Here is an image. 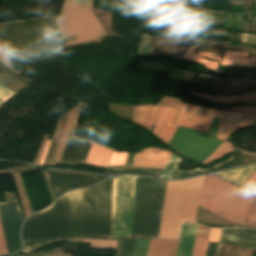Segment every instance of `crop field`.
I'll use <instances>...</instances> for the list:
<instances>
[{"label":"crop field","instance_id":"obj_35","mask_svg":"<svg viewBox=\"0 0 256 256\" xmlns=\"http://www.w3.org/2000/svg\"><path fill=\"white\" fill-rule=\"evenodd\" d=\"M140 183H141V177H138L132 237H136V231H137Z\"/></svg>","mask_w":256,"mask_h":256},{"label":"crop field","instance_id":"obj_39","mask_svg":"<svg viewBox=\"0 0 256 256\" xmlns=\"http://www.w3.org/2000/svg\"><path fill=\"white\" fill-rule=\"evenodd\" d=\"M15 93L10 91L8 88L0 84V105H2L5 101H7L11 96Z\"/></svg>","mask_w":256,"mask_h":256},{"label":"crop field","instance_id":"obj_50","mask_svg":"<svg viewBox=\"0 0 256 256\" xmlns=\"http://www.w3.org/2000/svg\"><path fill=\"white\" fill-rule=\"evenodd\" d=\"M0 60L2 62H4L6 65H8L9 67H11L10 64H9V61H8L6 55H5V52H4L3 48H2L1 43H0Z\"/></svg>","mask_w":256,"mask_h":256},{"label":"crop field","instance_id":"obj_58","mask_svg":"<svg viewBox=\"0 0 256 256\" xmlns=\"http://www.w3.org/2000/svg\"><path fill=\"white\" fill-rule=\"evenodd\" d=\"M255 24H256V18H255Z\"/></svg>","mask_w":256,"mask_h":256},{"label":"crop field","instance_id":"obj_14","mask_svg":"<svg viewBox=\"0 0 256 256\" xmlns=\"http://www.w3.org/2000/svg\"><path fill=\"white\" fill-rule=\"evenodd\" d=\"M83 105L80 104L76 119L70 133L66 148L64 150L60 164L79 165L84 164L91 148L92 142L77 137H73Z\"/></svg>","mask_w":256,"mask_h":256},{"label":"crop field","instance_id":"obj_46","mask_svg":"<svg viewBox=\"0 0 256 256\" xmlns=\"http://www.w3.org/2000/svg\"><path fill=\"white\" fill-rule=\"evenodd\" d=\"M220 231L221 229H211L209 241L218 242Z\"/></svg>","mask_w":256,"mask_h":256},{"label":"crop field","instance_id":"obj_24","mask_svg":"<svg viewBox=\"0 0 256 256\" xmlns=\"http://www.w3.org/2000/svg\"><path fill=\"white\" fill-rule=\"evenodd\" d=\"M247 56L248 54L245 53H238L226 50L223 57L222 65L256 68V60L242 59L247 58Z\"/></svg>","mask_w":256,"mask_h":256},{"label":"crop field","instance_id":"obj_3","mask_svg":"<svg viewBox=\"0 0 256 256\" xmlns=\"http://www.w3.org/2000/svg\"><path fill=\"white\" fill-rule=\"evenodd\" d=\"M204 177L167 181L159 237L178 238L181 221H193Z\"/></svg>","mask_w":256,"mask_h":256},{"label":"crop field","instance_id":"obj_42","mask_svg":"<svg viewBox=\"0 0 256 256\" xmlns=\"http://www.w3.org/2000/svg\"><path fill=\"white\" fill-rule=\"evenodd\" d=\"M8 253L0 222V255Z\"/></svg>","mask_w":256,"mask_h":256},{"label":"crop field","instance_id":"obj_11","mask_svg":"<svg viewBox=\"0 0 256 256\" xmlns=\"http://www.w3.org/2000/svg\"><path fill=\"white\" fill-rule=\"evenodd\" d=\"M231 112L222 110L217 138L225 140L237 129L251 123L256 118V107H235Z\"/></svg>","mask_w":256,"mask_h":256},{"label":"crop field","instance_id":"obj_17","mask_svg":"<svg viewBox=\"0 0 256 256\" xmlns=\"http://www.w3.org/2000/svg\"><path fill=\"white\" fill-rule=\"evenodd\" d=\"M160 106H137L134 107L132 121L151 131L153 128Z\"/></svg>","mask_w":256,"mask_h":256},{"label":"crop field","instance_id":"obj_1","mask_svg":"<svg viewBox=\"0 0 256 256\" xmlns=\"http://www.w3.org/2000/svg\"><path fill=\"white\" fill-rule=\"evenodd\" d=\"M57 17L28 19L0 25V41L10 64L20 73L39 60L65 53Z\"/></svg>","mask_w":256,"mask_h":256},{"label":"crop field","instance_id":"obj_56","mask_svg":"<svg viewBox=\"0 0 256 256\" xmlns=\"http://www.w3.org/2000/svg\"><path fill=\"white\" fill-rule=\"evenodd\" d=\"M2 72H4V71H2V70L0 69V73H2Z\"/></svg>","mask_w":256,"mask_h":256},{"label":"crop field","instance_id":"obj_16","mask_svg":"<svg viewBox=\"0 0 256 256\" xmlns=\"http://www.w3.org/2000/svg\"><path fill=\"white\" fill-rule=\"evenodd\" d=\"M171 153L158 148H146L136 154L133 166L164 168Z\"/></svg>","mask_w":256,"mask_h":256},{"label":"crop field","instance_id":"obj_9","mask_svg":"<svg viewBox=\"0 0 256 256\" xmlns=\"http://www.w3.org/2000/svg\"><path fill=\"white\" fill-rule=\"evenodd\" d=\"M216 136L178 127L169 141L180 154L202 163L214 152L223 141L215 139Z\"/></svg>","mask_w":256,"mask_h":256},{"label":"crop field","instance_id":"obj_40","mask_svg":"<svg viewBox=\"0 0 256 256\" xmlns=\"http://www.w3.org/2000/svg\"><path fill=\"white\" fill-rule=\"evenodd\" d=\"M167 108L168 107L161 106V110H160V113H159L158 121H157V123L155 125V129L152 131V133L155 134V135H157V133H158V131H159L163 121H164Z\"/></svg>","mask_w":256,"mask_h":256},{"label":"crop field","instance_id":"obj_2","mask_svg":"<svg viewBox=\"0 0 256 256\" xmlns=\"http://www.w3.org/2000/svg\"><path fill=\"white\" fill-rule=\"evenodd\" d=\"M78 236H85L83 189L67 192L47 209L29 217L22 230L25 252Z\"/></svg>","mask_w":256,"mask_h":256},{"label":"crop field","instance_id":"obj_47","mask_svg":"<svg viewBox=\"0 0 256 256\" xmlns=\"http://www.w3.org/2000/svg\"><path fill=\"white\" fill-rule=\"evenodd\" d=\"M241 40H246V41H256V35H251V34H245L242 33V37ZM244 43H251V44H256L255 42H245V41H241Z\"/></svg>","mask_w":256,"mask_h":256},{"label":"crop field","instance_id":"obj_52","mask_svg":"<svg viewBox=\"0 0 256 256\" xmlns=\"http://www.w3.org/2000/svg\"><path fill=\"white\" fill-rule=\"evenodd\" d=\"M49 142H50V141H48L47 146H46V149H45L44 154H43V156H42L41 162H40V164H39L40 166L42 165V162H43V159H44L45 153H46L47 148H48V145H49Z\"/></svg>","mask_w":256,"mask_h":256},{"label":"crop field","instance_id":"obj_13","mask_svg":"<svg viewBox=\"0 0 256 256\" xmlns=\"http://www.w3.org/2000/svg\"><path fill=\"white\" fill-rule=\"evenodd\" d=\"M55 198L60 196L64 191L72 188L84 187L103 180V177L45 172Z\"/></svg>","mask_w":256,"mask_h":256},{"label":"crop field","instance_id":"obj_5","mask_svg":"<svg viewBox=\"0 0 256 256\" xmlns=\"http://www.w3.org/2000/svg\"><path fill=\"white\" fill-rule=\"evenodd\" d=\"M250 195L215 176H206L198 206L240 224Z\"/></svg>","mask_w":256,"mask_h":256},{"label":"crop field","instance_id":"obj_57","mask_svg":"<svg viewBox=\"0 0 256 256\" xmlns=\"http://www.w3.org/2000/svg\"><path fill=\"white\" fill-rule=\"evenodd\" d=\"M250 126H256V124L255 125H250Z\"/></svg>","mask_w":256,"mask_h":256},{"label":"crop field","instance_id":"obj_33","mask_svg":"<svg viewBox=\"0 0 256 256\" xmlns=\"http://www.w3.org/2000/svg\"><path fill=\"white\" fill-rule=\"evenodd\" d=\"M13 175H14V178H15V181H16V185H17V188H18V191H19V194H20L21 200H22V204H23V207H24V210H25L26 216H29V213H32V211H31V208H30V205H29V202H28L27 196H26V192H25V189H24V186H23V183H22V180H21L20 174L18 173L17 175H18V178H19V181H20V185H21V188H22V191H23V194H24V197H25L26 203H27V207H28L29 213H28V210H27V207H26V203H25V200H24V197H23V194H22V191H21L20 185H19V181H18L17 175H16V174H13Z\"/></svg>","mask_w":256,"mask_h":256},{"label":"crop field","instance_id":"obj_12","mask_svg":"<svg viewBox=\"0 0 256 256\" xmlns=\"http://www.w3.org/2000/svg\"><path fill=\"white\" fill-rule=\"evenodd\" d=\"M213 116H220L219 111L181 103L176 125L206 132Z\"/></svg>","mask_w":256,"mask_h":256},{"label":"crop field","instance_id":"obj_54","mask_svg":"<svg viewBox=\"0 0 256 256\" xmlns=\"http://www.w3.org/2000/svg\"><path fill=\"white\" fill-rule=\"evenodd\" d=\"M244 26H245V31H247V26H246V22L244 21Z\"/></svg>","mask_w":256,"mask_h":256},{"label":"crop field","instance_id":"obj_26","mask_svg":"<svg viewBox=\"0 0 256 256\" xmlns=\"http://www.w3.org/2000/svg\"><path fill=\"white\" fill-rule=\"evenodd\" d=\"M77 108L78 106H76L74 109L71 110L70 112V115L68 117V120H67V123L65 125V128H64V131H63V134H62V137L60 139V142H59V145H58V148H57V151H56V154H55V157L53 159V162H52V165L51 166H54L56 164L59 163V160L61 158V155H62V152L64 150V147H65V144H66V141L68 139V136H69V133H70V130L72 128V125H73V122H74V118H75V115H76V112H77Z\"/></svg>","mask_w":256,"mask_h":256},{"label":"crop field","instance_id":"obj_30","mask_svg":"<svg viewBox=\"0 0 256 256\" xmlns=\"http://www.w3.org/2000/svg\"><path fill=\"white\" fill-rule=\"evenodd\" d=\"M233 148L231 144L224 142L214 153H212L204 162L203 164H210L211 162L233 152Z\"/></svg>","mask_w":256,"mask_h":256},{"label":"crop field","instance_id":"obj_48","mask_svg":"<svg viewBox=\"0 0 256 256\" xmlns=\"http://www.w3.org/2000/svg\"><path fill=\"white\" fill-rule=\"evenodd\" d=\"M217 244L208 243L207 251L205 256H214Z\"/></svg>","mask_w":256,"mask_h":256},{"label":"crop field","instance_id":"obj_53","mask_svg":"<svg viewBox=\"0 0 256 256\" xmlns=\"http://www.w3.org/2000/svg\"><path fill=\"white\" fill-rule=\"evenodd\" d=\"M250 191L256 193V182L253 184V186L250 188Z\"/></svg>","mask_w":256,"mask_h":256},{"label":"crop field","instance_id":"obj_4","mask_svg":"<svg viewBox=\"0 0 256 256\" xmlns=\"http://www.w3.org/2000/svg\"><path fill=\"white\" fill-rule=\"evenodd\" d=\"M92 5L93 0H65L56 23L67 46L109 36Z\"/></svg>","mask_w":256,"mask_h":256},{"label":"crop field","instance_id":"obj_19","mask_svg":"<svg viewBox=\"0 0 256 256\" xmlns=\"http://www.w3.org/2000/svg\"><path fill=\"white\" fill-rule=\"evenodd\" d=\"M112 150L113 149L110 147L94 142L86 164L94 166H107Z\"/></svg>","mask_w":256,"mask_h":256},{"label":"crop field","instance_id":"obj_8","mask_svg":"<svg viewBox=\"0 0 256 256\" xmlns=\"http://www.w3.org/2000/svg\"><path fill=\"white\" fill-rule=\"evenodd\" d=\"M166 181L142 177L138 236L159 234Z\"/></svg>","mask_w":256,"mask_h":256},{"label":"crop field","instance_id":"obj_25","mask_svg":"<svg viewBox=\"0 0 256 256\" xmlns=\"http://www.w3.org/2000/svg\"><path fill=\"white\" fill-rule=\"evenodd\" d=\"M177 113H178V109L171 108V107L168 108L165 121L157 135L160 139H162L167 143L172 137L175 130L177 129V126L173 125V122L175 120Z\"/></svg>","mask_w":256,"mask_h":256},{"label":"crop field","instance_id":"obj_41","mask_svg":"<svg viewBox=\"0 0 256 256\" xmlns=\"http://www.w3.org/2000/svg\"><path fill=\"white\" fill-rule=\"evenodd\" d=\"M48 137H49V135H47V134H45L44 135V137H43V140H42V142H41V145H40V147H39V150H38V152H37V155H36V157H35V160H34V164H39V162H40V159H41V156H42V154H43V151H44V149H45V146H46V143H47V141H48Z\"/></svg>","mask_w":256,"mask_h":256},{"label":"crop field","instance_id":"obj_31","mask_svg":"<svg viewBox=\"0 0 256 256\" xmlns=\"http://www.w3.org/2000/svg\"><path fill=\"white\" fill-rule=\"evenodd\" d=\"M244 154L240 153L239 151L234 154L233 156H231L230 158H228L227 160L209 168L206 170H202L204 174L211 172V171H216V170H220V169H225V168H230L236 161H238Z\"/></svg>","mask_w":256,"mask_h":256},{"label":"crop field","instance_id":"obj_22","mask_svg":"<svg viewBox=\"0 0 256 256\" xmlns=\"http://www.w3.org/2000/svg\"><path fill=\"white\" fill-rule=\"evenodd\" d=\"M191 94L212 101L220 104H226V103H234L236 100H254L256 101V91L247 93V94H241V95H236V96H214V95H209L205 93H199V92H193L190 91ZM242 103H249V102H242Z\"/></svg>","mask_w":256,"mask_h":256},{"label":"crop field","instance_id":"obj_37","mask_svg":"<svg viewBox=\"0 0 256 256\" xmlns=\"http://www.w3.org/2000/svg\"><path fill=\"white\" fill-rule=\"evenodd\" d=\"M128 153H118L113 151L109 165H124Z\"/></svg>","mask_w":256,"mask_h":256},{"label":"crop field","instance_id":"obj_43","mask_svg":"<svg viewBox=\"0 0 256 256\" xmlns=\"http://www.w3.org/2000/svg\"><path fill=\"white\" fill-rule=\"evenodd\" d=\"M254 82H256V78H253V79L236 78V79H233V86L254 83Z\"/></svg>","mask_w":256,"mask_h":256},{"label":"crop field","instance_id":"obj_44","mask_svg":"<svg viewBox=\"0 0 256 256\" xmlns=\"http://www.w3.org/2000/svg\"><path fill=\"white\" fill-rule=\"evenodd\" d=\"M219 118L214 117L207 132L217 135Z\"/></svg>","mask_w":256,"mask_h":256},{"label":"crop field","instance_id":"obj_38","mask_svg":"<svg viewBox=\"0 0 256 256\" xmlns=\"http://www.w3.org/2000/svg\"><path fill=\"white\" fill-rule=\"evenodd\" d=\"M203 173L199 170V168L192 170V171H179L177 170L173 179L176 178H185L190 176L202 175Z\"/></svg>","mask_w":256,"mask_h":256},{"label":"crop field","instance_id":"obj_15","mask_svg":"<svg viewBox=\"0 0 256 256\" xmlns=\"http://www.w3.org/2000/svg\"><path fill=\"white\" fill-rule=\"evenodd\" d=\"M219 242L256 250V230L222 229Z\"/></svg>","mask_w":256,"mask_h":256},{"label":"crop field","instance_id":"obj_6","mask_svg":"<svg viewBox=\"0 0 256 256\" xmlns=\"http://www.w3.org/2000/svg\"><path fill=\"white\" fill-rule=\"evenodd\" d=\"M86 236L111 238L112 178L84 189Z\"/></svg>","mask_w":256,"mask_h":256},{"label":"crop field","instance_id":"obj_10","mask_svg":"<svg viewBox=\"0 0 256 256\" xmlns=\"http://www.w3.org/2000/svg\"><path fill=\"white\" fill-rule=\"evenodd\" d=\"M0 218L9 253L21 248L19 229L23 221L17 202L0 204Z\"/></svg>","mask_w":256,"mask_h":256},{"label":"crop field","instance_id":"obj_55","mask_svg":"<svg viewBox=\"0 0 256 256\" xmlns=\"http://www.w3.org/2000/svg\"><path fill=\"white\" fill-rule=\"evenodd\" d=\"M245 106H253V105H245ZM228 107H231V106H228Z\"/></svg>","mask_w":256,"mask_h":256},{"label":"crop field","instance_id":"obj_7","mask_svg":"<svg viewBox=\"0 0 256 256\" xmlns=\"http://www.w3.org/2000/svg\"><path fill=\"white\" fill-rule=\"evenodd\" d=\"M137 177L113 178L112 238L131 237Z\"/></svg>","mask_w":256,"mask_h":256},{"label":"crop field","instance_id":"obj_45","mask_svg":"<svg viewBox=\"0 0 256 256\" xmlns=\"http://www.w3.org/2000/svg\"><path fill=\"white\" fill-rule=\"evenodd\" d=\"M198 77L215 80V77H213V76H207V75H202V74H199ZM196 80L209 81V82H214V83H215V81L206 80V79H200V78H197ZM195 83H197V84H204V85H211V86H214V85H215V84L202 83V82H197V81H195Z\"/></svg>","mask_w":256,"mask_h":256},{"label":"crop field","instance_id":"obj_23","mask_svg":"<svg viewBox=\"0 0 256 256\" xmlns=\"http://www.w3.org/2000/svg\"><path fill=\"white\" fill-rule=\"evenodd\" d=\"M196 48L197 47L189 46L187 51H186V53H185V55L183 56V58L184 59L194 60V61H197L199 63H202V64H204L203 66H205V67L211 69L212 71L218 73L217 72V67H218L219 63L207 61L206 59L201 58L200 56L220 61L221 55L209 54V53H201V52H197L198 54H194V51L196 50Z\"/></svg>","mask_w":256,"mask_h":256},{"label":"crop field","instance_id":"obj_36","mask_svg":"<svg viewBox=\"0 0 256 256\" xmlns=\"http://www.w3.org/2000/svg\"><path fill=\"white\" fill-rule=\"evenodd\" d=\"M150 240H137L134 256H146Z\"/></svg>","mask_w":256,"mask_h":256},{"label":"crop field","instance_id":"obj_20","mask_svg":"<svg viewBox=\"0 0 256 256\" xmlns=\"http://www.w3.org/2000/svg\"><path fill=\"white\" fill-rule=\"evenodd\" d=\"M255 169L256 164H253L232 170L218 172L216 174L223 178L231 180L243 187V185L246 183V181L248 180V178L251 176Z\"/></svg>","mask_w":256,"mask_h":256},{"label":"crop field","instance_id":"obj_49","mask_svg":"<svg viewBox=\"0 0 256 256\" xmlns=\"http://www.w3.org/2000/svg\"><path fill=\"white\" fill-rule=\"evenodd\" d=\"M235 24L236 28L243 30L241 14L235 13Z\"/></svg>","mask_w":256,"mask_h":256},{"label":"crop field","instance_id":"obj_34","mask_svg":"<svg viewBox=\"0 0 256 256\" xmlns=\"http://www.w3.org/2000/svg\"><path fill=\"white\" fill-rule=\"evenodd\" d=\"M136 240L122 241L119 256H133Z\"/></svg>","mask_w":256,"mask_h":256},{"label":"crop field","instance_id":"obj_18","mask_svg":"<svg viewBox=\"0 0 256 256\" xmlns=\"http://www.w3.org/2000/svg\"><path fill=\"white\" fill-rule=\"evenodd\" d=\"M196 224H183L177 256H191Z\"/></svg>","mask_w":256,"mask_h":256},{"label":"crop field","instance_id":"obj_21","mask_svg":"<svg viewBox=\"0 0 256 256\" xmlns=\"http://www.w3.org/2000/svg\"><path fill=\"white\" fill-rule=\"evenodd\" d=\"M179 241L151 240L148 256H176Z\"/></svg>","mask_w":256,"mask_h":256},{"label":"crop field","instance_id":"obj_27","mask_svg":"<svg viewBox=\"0 0 256 256\" xmlns=\"http://www.w3.org/2000/svg\"><path fill=\"white\" fill-rule=\"evenodd\" d=\"M209 231V228L198 225L192 256H204Z\"/></svg>","mask_w":256,"mask_h":256},{"label":"crop field","instance_id":"obj_29","mask_svg":"<svg viewBox=\"0 0 256 256\" xmlns=\"http://www.w3.org/2000/svg\"><path fill=\"white\" fill-rule=\"evenodd\" d=\"M241 225L256 226V196L251 195L247 210Z\"/></svg>","mask_w":256,"mask_h":256},{"label":"crop field","instance_id":"obj_32","mask_svg":"<svg viewBox=\"0 0 256 256\" xmlns=\"http://www.w3.org/2000/svg\"><path fill=\"white\" fill-rule=\"evenodd\" d=\"M180 161H181L180 158L172 154L161 177L171 179Z\"/></svg>","mask_w":256,"mask_h":256},{"label":"crop field","instance_id":"obj_28","mask_svg":"<svg viewBox=\"0 0 256 256\" xmlns=\"http://www.w3.org/2000/svg\"><path fill=\"white\" fill-rule=\"evenodd\" d=\"M161 169H149V168H138V167H108V173L114 172H128V173H139L148 175H159Z\"/></svg>","mask_w":256,"mask_h":256},{"label":"crop field","instance_id":"obj_51","mask_svg":"<svg viewBox=\"0 0 256 256\" xmlns=\"http://www.w3.org/2000/svg\"><path fill=\"white\" fill-rule=\"evenodd\" d=\"M256 180V170L255 172L252 174V176L249 178V180L247 181V183L244 185V188L248 189L252 186V184L255 182Z\"/></svg>","mask_w":256,"mask_h":256},{"label":"crop field","instance_id":"obj_59","mask_svg":"<svg viewBox=\"0 0 256 256\" xmlns=\"http://www.w3.org/2000/svg\"><path fill=\"white\" fill-rule=\"evenodd\" d=\"M254 123H256V121Z\"/></svg>","mask_w":256,"mask_h":256}]
</instances>
